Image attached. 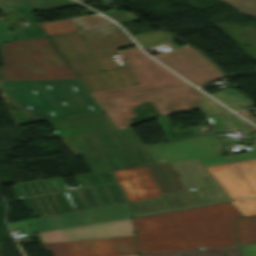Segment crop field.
Returning <instances> with one entry per match:
<instances>
[{"label":"crop field","instance_id":"obj_1","mask_svg":"<svg viewBox=\"0 0 256 256\" xmlns=\"http://www.w3.org/2000/svg\"><path fill=\"white\" fill-rule=\"evenodd\" d=\"M230 202L134 218L139 254L236 245Z\"/></svg>","mask_w":256,"mask_h":256},{"label":"crop field","instance_id":"obj_2","mask_svg":"<svg viewBox=\"0 0 256 256\" xmlns=\"http://www.w3.org/2000/svg\"><path fill=\"white\" fill-rule=\"evenodd\" d=\"M80 34L85 41L78 32L51 36L50 39L90 92L137 83L129 69L100 71L120 67L109 55L118 53L119 48L134 45L116 24Z\"/></svg>","mask_w":256,"mask_h":256},{"label":"crop field","instance_id":"obj_3","mask_svg":"<svg viewBox=\"0 0 256 256\" xmlns=\"http://www.w3.org/2000/svg\"><path fill=\"white\" fill-rule=\"evenodd\" d=\"M15 107L40 121L102 111L78 79L0 81Z\"/></svg>","mask_w":256,"mask_h":256},{"label":"crop field","instance_id":"obj_4","mask_svg":"<svg viewBox=\"0 0 256 256\" xmlns=\"http://www.w3.org/2000/svg\"><path fill=\"white\" fill-rule=\"evenodd\" d=\"M54 256H121L137 254L130 219L37 234Z\"/></svg>","mask_w":256,"mask_h":256},{"label":"crop field","instance_id":"obj_5","mask_svg":"<svg viewBox=\"0 0 256 256\" xmlns=\"http://www.w3.org/2000/svg\"><path fill=\"white\" fill-rule=\"evenodd\" d=\"M15 41L0 18V80L77 78L48 38Z\"/></svg>","mask_w":256,"mask_h":256},{"label":"crop field","instance_id":"obj_6","mask_svg":"<svg viewBox=\"0 0 256 256\" xmlns=\"http://www.w3.org/2000/svg\"><path fill=\"white\" fill-rule=\"evenodd\" d=\"M112 170L156 164L149 147H144L130 127L93 134ZM72 155L82 153L92 172L109 170L91 134L60 138Z\"/></svg>","mask_w":256,"mask_h":256},{"label":"crop field","instance_id":"obj_7","mask_svg":"<svg viewBox=\"0 0 256 256\" xmlns=\"http://www.w3.org/2000/svg\"><path fill=\"white\" fill-rule=\"evenodd\" d=\"M147 168L163 197L130 203L133 216L197 205L190 189H185L176 176L171 163L151 165ZM195 188L193 192L201 205L230 199L219 184Z\"/></svg>","mask_w":256,"mask_h":256},{"label":"crop field","instance_id":"obj_8","mask_svg":"<svg viewBox=\"0 0 256 256\" xmlns=\"http://www.w3.org/2000/svg\"><path fill=\"white\" fill-rule=\"evenodd\" d=\"M121 52L138 85L92 92L93 97L104 110L119 107L112 100L114 97L158 91L187 84L150 59L137 47Z\"/></svg>","mask_w":256,"mask_h":256},{"label":"crop field","instance_id":"obj_9","mask_svg":"<svg viewBox=\"0 0 256 256\" xmlns=\"http://www.w3.org/2000/svg\"><path fill=\"white\" fill-rule=\"evenodd\" d=\"M172 37L173 36L167 32L159 31L135 36L134 38L144 48L160 43L172 45ZM172 47L174 48L173 50L167 51L162 55H156L155 57L197 86H201L219 77H224V75L196 49L190 46L181 48L175 45Z\"/></svg>","mask_w":256,"mask_h":256},{"label":"crop field","instance_id":"obj_10","mask_svg":"<svg viewBox=\"0 0 256 256\" xmlns=\"http://www.w3.org/2000/svg\"><path fill=\"white\" fill-rule=\"evenodd\" d=\"M149 147L157 164L198 158L206 167L256 158V152L217 157L222 148L215 135H201L170 144Z\"/></svg>","mask_w":256,"mask_h":256},{"label":"crop field","instance_id":"obj_11","mask_svg":"<svg viewBox=\"0 0 256 256\" xmlns=\"http://www.w3.org/2000/svg\"><path fill=\"white\" fill-rule=\"evenodd\" d=\"M200 92L186 85L164 91L146 93L134 96L114 98L121 107L107 110L106 113L118 129L128 127L129 118L135 117L131 110L138 104L150 101L161 115L177 110L195 108L199 106Z\"/></svg>","mask_w":256,"mask_h":256},{"label":"crop field","instance_id":"obj_12","mask_svg":"<svg viewBox=\"0 0 256 256\" xmlns=\"http://www.w3.org/2000/svg\"><path fill=\"white\" fill-rule=\"evenodd\" d=\"M128 203L100 207L40 218H34L19 222L8 223L11 229L23 228L25 233L33 231H45L82 224L102 222L129 217ZM32 226H29V225Z\"/></svg>","mask_w":256,"mask_h":256},{"label":"crop field","instance_id":"obj_13","mask_svg":"<svg viewBox=\"0 0 256 256\" xmlns=\"http://www.w3.org/2000/svg\"><path fill=\"white\" fill-rule=\"evenodd\" d=\"M130 202L162 196L146 166L113 171Z\"/></svg>","mask_w":256,"mask_h":256},{"label":"crop field","instance_id":"obj_14","mask_svg":"<svg viewBox=\"0 0 256 256\" xmlns=\"http://www.w3.org/2000/svg\"><path fill=\"white\" fill-rule=\"evenodd\" d=\"M58 137L116 129L103 112L46 121Z\"/></svg>","mask_w":256,"mask_h":256},{"label":"crop field","instance_id":"obj_15","mask_svg":"<svg viewBox=\"0 0 256 256\" xmlns=\"http://www.w3.org/2000/svg\"><path fill=\"white\" fill-rule=\"evenodd\" d=\"M213 178L224 188L231 199L253 195L247 182L240 176L234 163L206 167Z\"/></svg>","mask_w":256,"mask_h":256},{"label":"crop field","instance_id":"obj_16","mask_svg":"<svg viewBox=\"0 0 256 256\" xmlns=\"http://www.w3.org/2000/svg\"><path fill=\"white\" fill-rule=\"evenodd\" d=\"M0 9L3 13L13 11L22 14L30 23L27 26L12 28L18 40L45 36L19 0H0Z\"/></svg>","mask_w":256,"mask_h":256},{"label":"crop field","instance_id":"obj_17","mask_svg":"<svg viewBox=\"0 0 256 256\" xmlns=\"http://www.w3.org/2000/svg\"><path fill=\"white\" fill-rule=\"evenodd\" d=\"M79 19L87 30L113 23L101 15L80 17ZM41 26L48 36L77 31L71 19L42 23Z\"/></svg>","mask_w":256,"mask_h":256},{"label":"crop field","instance_id":"obj_18","mask_svg":"<svg viewBox=\"0 0 256 256\" xmlns=\"http://www.w3.org/2000/svg\"><path fill=\"white\" fill-rule=\"evenodd\" d=\"M239 245L256 243V216L235 219Z\"/></svg>","mask_w":256,"mask_h":256},{"label":"crop field","instance_id":"obj_19","mask_svg":"<svg viewBox=\"0 0 256 256\" xmlns=\"http://www.w3.org/2000/svg\"><path fill=\"white\" fill-rule=\"evenodd\" d=\"M139 256H238L237 247L201 250L172 252V253H158V254H144Z\"/></svg>","mask_w":256,"mask_h":256},{"label":"crop field","instance_id":"obj_20","mask_svg":"<svg viewBox=\"0 0 256 256\" xmlns=\"http://www.w3.org/2000/svg\"><path fill=\"white\" fill-rule=\"evenodd\" d=\"M211 95L235 110L255 106L251 100L243 97L231 89L220 91Z\"/></svg>","mask_w":256,"mask_h":256},{"label":"crop field","instance_id":"obj_21","mask_svg":"<svg viewBox=\"0 0 256 256\" xmlns=\"http://www.w3.org/2000/svg\"><path fill=\"white\" fill-rule=\"evenodd\" d=\"M157 120H158L161 128L163 129L168 141L195 135V134H200L197 127L174 131L171 124L169 123L166 115L157 117Z\"/></svg>","mask_w":256,"mask_h":256},{"label":"crop field","instance_id":"obj_22","mask_svg":"<svg viewBox=\"0 0 256 256\" xmlns=\"http://www.w3.org/2000/svg\"><path fill=\"white\" fill-rule=\"evenodd\" d=\"M241 176L248 181L256 195V160L236 163Z\"/></svg>","mask_w":256,"mask_h":256},{"label":"crop field","instance_id":"obj_23","mask_svg":"<svg viewBox=\"0 0 256 256\" xmlns=\"http://www.w3.org/2000/svg\"><path fill=\"white\" fill-rule=\"evenodd\" d=\"M28 10H39L43 8L74 4L71 0H22Z\"/></svg>","mask_w":256,"mask_h":256},{"label":"crop field","instance_id":"obj_24","mask_svg":"<svg viewBox=\"0 0 256 256\" xmlns=\"http://www.w3.org/2000/svg\"><path fill=\"white\" fill-rule=\"evenodd\" d=\"M232 203L243 213L244 216L256 214V197L239 199Z\"/></svg>","mask_w":256,"mask_h":256},{"label":"crop field","instance_id":"obj_25","mask_svg":"<svg viewBox=\"0 0 256 256\" xmlns=\"http://www.w3.org/2000/svg\"><path fill=\"white\" fill-rule=\"evenodd\" d=\"M233 6L245 11L250 15L256 16V0H245L239 3L232 4Z\"/></svg>","mask_w":256,"mask_h":256},{"label":"crop field","instance_id":"obj_26","mask_svg":"<svg viewBox=\"0 0 256 256\" xmlns=\"http://www.w3.org/2000/svg\"><path fill=\"white\" fill-rule=\"evenodd\" d=\"M106 15L111 17L112 19L116 20L117 22L138 20L137 17H135L127 12L112 11V12L106 13Z\"/></svg>","mask_w":256,"mask_h":256},{"label":"crop field","instance_id":"obj_27","mask_svg":"<svg viewBox=\"0 0 256 256\" xmlns=\"http://www.w3.org/2000/svg\"><path fill=\"white\" fill-rule=\"evenodd\" d=\"M241 256H256V246L239 247Z\"/></svg>","mask_w":256,"mask_h":256},{"label":"crop field","instance_id":"obj_28","mask_svg":"<svg viewBox=\"0 0 256 256\" xmlns=\"http://www.w3.org/2000/svg\"><path fill=\"white\" fill-rule=\"evenodd\" d=\"M242 114L244 117H246L248 120L256 123V118H253L247 111L239 112Z\"/></svg>","mask_w":256,"mask_h":256},{"label":"crop field","instance_id":"obj_29","mask_svg":"<svg viewBox=\"0 0 256 256\" xmlns=\"http://www.w3.org/2000/svg\"><path fill=\"white\" fill-rule=\"evenodd\" d=\"M225 1L232 4V3L239 2V1H242V0H225Z\"/></svg>","mask_w":256,"mask_h":256},{"label":"crop field","instance_id":"obj_30","mask_svg":"<svg viewBox=\"0 0 256 256\" xmlns=\"http://www.w3.org/2000/svg\"><path fill=\"white\" fill-rule=\"evenodd\" d=\"M80 1L85 2V0H80Z\"/></svg>","mask_w":256,"mask_h":256},{"label":"crop field","instance_id":"obj_31","mask_svg":"<svg viewBox=\"0 0 256 256\" xmlns=\"http://www.w3.org/2000/svg\"><path fill=\"white\" fill-rule=\"evenodd\" d=\"M132 256H137V255H132Z\"/></svg>","mask_w":256,"mask_h":256}]
</instances>
